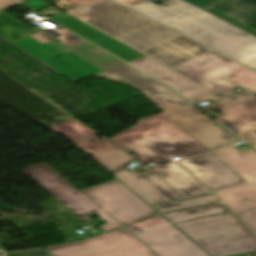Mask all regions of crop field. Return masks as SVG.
I'll list each match as a JSON object with an SVG mask.
<instances>
[{"label":"crop field","mask_w":256,"mask_h":256,"mask_svg":"<svg viewBox=\"0 0 256 256\" xmlns=\"http://www.w3.org/2000/svg\"><path fill=\"white\" fill-rule=\"evenodd\" d=\"M82 192L122 225L157 213L118 180Z\"/></svg>","instance_id":"28ad6ade"},{"label":"crop field","mask_w":256,"mask_h":256,"mask_svg":"<svg viewBox=\"0 0 256 256\" xmlns=\"http://www.w3.org/2000/svg\"><path fill=\"white\" fill-rule=\"evenodd\" d=\"M256 70V36L182 0H114Z\"/></svg>","instance_id":"ac0d7876"},{"label":"crop field","mask_w":256,"mask_h":256,"mask_svg":"<svg viewBox=\"0 0 256 256\" xmlns=\"http://www.w3.org/2000/svg\"><path fill=\"white\" fill-rule=\"evenodd\" d=\"M129 63L143 73L171 85L178 91L200 87V85L194 83L193 81L171 71L170 69L147 57Z\"/></svg>","instance_id":"4a817a6b"},{"label":"crop field","mask_w":256,"mask_h":256,"mask_svg":"<svg viewBox=\"0 0 256 256\" xmlns=\"http://www.w3.org/2000/svg\"><path fill=\"white\" fill-rule=\"evenodd\" d=\"M69 1L83 7V6L91 5V4L98 3L105 0H69Z\"/></svg>","instance_id":"a9b5d70f"},{"label":"crop field","mask_w":256,"mask_h":256,"mask_svg":"<svg viewBox=\"0 0 256 256\" xmlns=\"http://www.w3.org/2000/svg\"><path fill=\"white\" fill-rule=\"evenodd\" d=\"M186 1L201 7V6L205 5L206 3H208L211 0H186Z\"/></svg>","instance_id":"4177f3b9"},{"label":"crop field","mask_w":256,"mask_h":256,"mask_svg":"<svg viewBox=\"0 0 256 256\" xmlns=\"http://www.w3.org/2000/svg\"><path fill=\"white\" fill-rule=\"evenodd\" d=\"M15 2L11 0H0V9L6 6H9L11 4H14Z\"/></svg>","instance_id":"730fd06b"},{"label":"crop field","mask_w":256,"mask_h":256,"mask_svg":"<svg viewBox=\"0 0 256 256\" xmlns=\"http://www.w3.org/2000/svg\"><path fill=\"white\" fill-rule=\"evenodd\" d=\"M218 199L219 198H217L216 196L211 195V196L195 198V199H190V200H185V201L155 205L153 207H155L160 212H163V211L181 209V208L198 206V205H203V204L215 203L216 200H218Z\"/></svg>","instance_id":"92a150f3"},{"label":"crop field","mask_w":256,"mask_h":256,"mask_svg":"<svg viewBox=\"0 0 256 256\" xmlns=\"http://www.w3.org/2000/svg\"><path fill=\"white\" fill-rule=\"evenodd\" d=\"M110 139L134 154L143 165L209 152L165 113L141 119L135 126Z\"/></svg>","instance_id":"412701ff"},{"label":"crop field","mask_w":256,"mask_h":256,"mask_svg":"<svg viewBox=\"0 0 256 256\" xmlns=\"http://www.w3.org/2000/svg\"><path fill=\"white\" fill-rule=\"evenodd\" d=\"M234 88L238 87L221 79L204 87L181 91V93H183L195 104H198L206 101L221 99L231 95L234 93L232 90Z\"/></svg>","instance_id":"bc2a9ffb"},{"label":"crop field","mask_w":256,"mask_h":256,"mask_svg":"<svg viewBox=\"0 0 256 256\" xmlns=\"http://www.w3.org/2000/svg\"><path fill=\"white\" fill-rule=\"evenodd\" d=\"M254 140V143H253V147L256 148V137L255 138H252Z\"/></svg>","instance_id":"d3111659"},{"label":"crop field","mask_w":256,"mask_h":256,"mask_svg":"<svg viewBox=\"0 0 256 256\" xmlns=\"http://www.w3.org/2000/svg\"><path fill=\"white\" fill-rule=\"evenodd\" d=\"M226 212H230V211H228L224 205L215 204V205L204 206V207H199L194 209L172 212V213L164 214L163 216H165L172 223H175L179 221L195 219V218H200V217H205V216H210V215H215L220 213H226Z\"/></svg>","instance_id":"214f88e0"},{"label":"crop field","mask_w":256,"mask_h":256,"mask_svg":"<svg viewBox=\"0 0 256 256\" xmlns=\"http://www.w3.org/2000/svg\"><path fill=\"white\" fill-rule=\"evenodd\" d=\"M55 256H156L125 230H114L72 245L47 248Z\"/></svg>","instance_id":"3316defc"},{"label":"crop field","mask_w":256,"mask_h":256,"mask_svg":"<svg viewBox=\"0 0 256 256\" xmlns=\"http://www.w3.org/2000/svg\"><path fill=\"white\" fill-rule=\"evenodd\" d=\"M210 108L222 110V116L216 119L241 138L256 136L255 96L243 91L202 109Z\"/></svg>","instance_id":"22f410ed"},{"label":"crop field","mask_w":256,"mask_h":256,"mask_svg":"<svg viewBox=\"0 0 256 256\" xmlns=\"http://www.w3.org/2000/svg\"><path fill=\"white\" fill-rule=\"evenodd\" d=\"M94 76L134 87L210 151L239 141V139L210 117L202 115L200 113L201 111L182 98L174 90L160 82L147 78L145 75L126 64Z\"/></svg>","instance_id":"34b2d1b8"},{"label":"crop field","mask_w":256,"mask_h":256,"mask_svg":"<svg viewBox=\"0 0 256 256\" xmlns=\"http://www.w3.org/2000/svg\"><path fill=\"white\" fill-rule=\"evenodd\" d=\"M17 1H19V2H21V3H22V2H25V1H28V0H17Z\"/></svg>","instance_id":"750c4746"},{"label":"crop field","mask_w":256,"mask_h":256,"mask_svg":"<svg viewBox=\"0 0 256 256\" xmlns=\"http://www.w3.org/2000/svg\"><path fill=\"white\" fill-rule=\"evenodd\" d=\"M243 224L256 236V208L236 213Z\"/></svg>","instance_id":"dafd665d"},{"label":"crop field","mask_w":256,"mask_h":256,"mask_svg":"<svg viewBox=\"0 0 256 256\" xmlns=\"http://www.w3.org/2000/svg\"><path fill=\"white\" fill-rule=\"evenodd\" d=\"M2 253L0 252V255H1Z\"/></svg>","instance_id":"bd1437ed"},{"label":"crop field","mask_w":256,"mask_h":256,"mask_svg":"<svg viewBox=\"0 0 256 256\" xmlns=\"http://www.w3.org/2000/svg\"><path fill=\"white\" fill-rule=\"evenodd\" d=\"M213 256H226L256 250V241L232 215L176 223Z\"/></svg>","instance_id":"f4fd0767"},{"label":"crop field","mask_w":256,"mask_h":256,"mask_svg":"<svg viewBox=\"0 0 256 256\" xmlns=\"http://www.w3.org/2000/svg\"><path fill=\"white\" fill-rule=\"evenodd\" d=\"M254 34H256V21L253 22L252 24H250L249 26H247L246 28H244Z\"/></svg>","instance_id":"eef30255"},{"label":"crop field","mask_w":256,"mask_h":256,"mask_svg":"<svg viewBox=\"0 0 256 256\" xmlns=\"http://www.w3.org/2000/svg\"><path fill=\"white\" fill-rule=\"evenodd\" d=\"M80 10L75 18L170 69L210 51L114 2Z\"/></svg>","instance_id":"8a807250"},{"label":"crop field","mask_w":256,"mask_h":256,"mask_svg":"<svg viewBox=\"0 0 256 256\" xmlns=\"http://www.w3.org/2000/svg\"><path fill=\"white\" fill-rule=\"evenodd\" d=\"M67 13L75 17V16H77V15L83 13V12L80 11L79 9H77V10H74V11H67Z\"/></svg>","instance_id":"ae1a2a85"},{"label":"crop field","mask_w":256,"mask_h":256,"mask_svg":"<svg viewBox=\"0 0 256 256\" xmlns=\"http://www.w3.org/2000/svg\"><path fill=\"white\" fill-rule=\"evenodd\" d=\"M49 128L70 139L109 172L121 169L133 161L111 141L108 139L101 141L95 136L98 133L73 119Z\"/></svg>","instance_id":"d1516ede"},{"label":"crop field","mask_w":256,"mask_h":256,"mask_svg":"<svg viewBox=\"0 0 256 256\" xmlns=\"http://www.w3.org/2000/svg\"><path fill=\"white\" fill-rule=\"evenodd\" d=\"M151 169L186 198L210 194L208 189L181 168L176 162L151 167Z\"/></svg>","instance_id":"733c2abd"},{"label":"crop field","mask_w":256,"mask_h":256,"mask_svg":"<svg viewBox=\"0 0 256 256\" xmlns=\"http://www.w3.org/2000/svg\"><path fill=\"white\" fill-rule=\"evenodd\" d=\"M212 191L246 182L213 153L178 161Z\"/></svg>","instance_id":"cbeb9de0"},{"label":"crop field","mask_w":256,"mask_h":256,"mask_svg":"<svg viewBox=\"0 0 256 256\" xmlns=\"http://www.w3.org/2000/svg\"><path fill=\"white\" fill-rule=\"evenodd\" d=\"M126 228L160 256H211L161 215Z\"/></svg>","instance_id":"e52e79f7"},{"label":"crop field","mask_w":256,"mask_h":256,"mask_svg":"<svg viewBox=\"0 0 256 256\" xmlns=\"http://www.w3.org/2000/svg\"><path fill=\"white\" fill-rule=\"evenodd\" d=\"M202 8L242 28L256 20V0H212Z\"/></svg>","instance_id":"d9b57169"},{"label":"crop field","mask_w":256,"mask_h":256,"mask_svg":"<svg viewBox=\"0 0 256 256\" xmlns=\"http://www.w3.org/2000/svg\"><path fill=\"white\" fill-rule=\"evenodd\" d=\"M214 154L247 181L215 193L234 213L256 207V151L250 148L240 152L230 146Z\"/></svg>","instance_id":"5a996713"},{"label":"crop field","mask_w":256,"mask_h":256,"mask_svg":"<svg viewBox=\"0 0 256 256\" xmlns=\"http://www.w3.org/2000/svg\"><path fill=\"white\" fill-rule=\"evenodd\" d=\"M22 171H24L86 224L92 222L86 214L95 212L107 222V225L101 226L99 229L107 231L121 226L81 191L78 192L74 189L45 163L22 169Z\"/></svg>","instance_id":"d8731c3e"},{"label":"crop field","mask_w":256,"mask_h":256,"mask_svg":"<svg viewBox=\"0 0 256 256\" xmlns=\"http://www.w3.org/2000/svg\"><path fill=\"white\" fill-rule=\"evenodd\" d=\"M172 70L202 86L223 78L256 96V72L213 51Z\"/></svg>","instance_id":"dd49c442"},{"label":"crop field","mask_w":256,"mask_h":256,"mask_svg":"<svg viewBox=\"0 0 256 256\" xmlns=\"http://www.w3.org/2000/svg\"><path fill=\"white\" fill-rule=\"evenodd\" d=\"M147 171V174L140 176L134 171L123 168L112 174L122 180L150 205L185 198L151 169L147 168Z\"/></svg>","instance_id":"5142ce71"},{"label":"crop field","mask_w":256,"mask_h":256,"mask_svg":"<svg viewBox=\"0 0 256 256\" xmlns=\"http://www.w3.org/2000/svg\"><path fill=\"white\" fill-rule=\"evenodd\" d=\"M8 256H54L50 251H43L42 249L23 251Z\"/></svg>","instance_id":"00972430"}]
</instances>
